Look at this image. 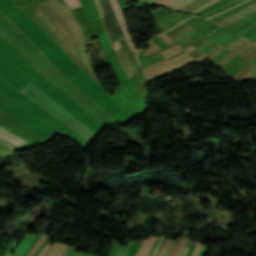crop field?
<instances>
[{"mask_svg": "<svg viewBox=\"0 0 256 256\" xmlns=\"http://www.w3.org/2000/svg\"><path fill=\"white\" fill-rule=\"evenodd\" d=\"M255 10H256V3H254L251 6H249L246 9L236 13L235 15H233V16H231V17H229V18H227V19L217 23L216 25H218V26L223 28V27L229 25L230 23L234 22L235 20H237V19H239V18H241V17H243V16H245V15H247V14H249V13L255 11Z\"/></svg>", "mask_w": 256, "mask_h": 256, "instance_id": "1", "label": "crop field"}, {"mask_svg": "<svg viewBox=\"0 0 256 256\" xmlns=\"http://www.w3.org/2000/svg\"><path fill=\"white\" fill-rule=\"evenodd\" d=\"M115 13H116V15H117V17H118V19L120 21L122 30H123V32H124L128 42H129L131 48H132V50L137 52V49H136V47L134 45L133 39H132V37L130 35V32H129L128 28H127L126 22H125L124 17H123V14L121 12V9L115 10Z\"/></svg>", "mask_w": 256, "mask_h": 256, "instance_id": "2", "label": "crop field"}, {"mask_svg": "<svg viewBox=\"0 0 256 256\" xmlns=\"http://www.w3.org/2000/svg\"><path fill=\"white\" fill-rule=\"evenodd\" d=\"M0 137L15 144L18 147L27 142L2 128H0Z\"/></svg>", "mask_w": 256, "mask_h": 256, "instance_id": "3", "label": "crop field"}, {"mask_svg": "<svg viewBox=\"0 0 256 256\" xmlns=\"http://www.w3.org/2000/svg\"><path fill=\"white\" fill-rule=\"evenodd\" d=\"M35 237L36 235L27 233L25 238L19 243L17 248L14 250L16 253L15 256H21L25 248L31 244V242L35 239Z\"/></svg>", "mask_w": 256, "mask_h": 256, "instance_id": "4", "label": "crop field"}, {"mask_svg": "<svg viewBox=\"0 0 256 256\" xmlns=\"http://www.w3.org/2000/svg\"><path fill=\"white\" fill-rule=\"evenodd\" d=\"M157 239V237H149L145 239L141 249L139 250L137 256H146L150 247L154 243V241Z\"/></svg>", "mask_w": 256, "mask_h": 256, "instance_id": "5", "label": "crop field"}, {"mask_svg": "<svg viewBox=\"0 0 256 256\" xmlns=\"http://www.w3.org/2000/svg\"><path fill=\"white\" fill-rule=\"evenodd\" d=\"M210 0H194L193 2L187 4L186 6H184L183 8H181L179 11H186V12H191L195 9H197L198 7H200L201 5L207 3Z\"/></svg>", "mask_w": 256, "mask_h": 256, "instance_id": "6", "label": "crop field"}, {"mask_svg": "<svg viewBox=\"0 0 256 256\" xmlns=\"http://www.w3.org/2000/svg\"><path fill=\"white\" fill-rule=\"evenodd\" d=\"M167 61L168 60H166V61H164V62H162V63H160L158 65H155V66L145 70L146 75L172 65L170 62H167Z\"/></svg>", "mask_w": 256, "mask_h": 256, "instance_id": "7", "label": "crop field"}, {"mask_svg": "<svg viewBox=\"0 0 256 256\" xmlns=\"http://www.w3.org/2000/svg\"><path fill=\"white\" fill-rule=\"evenodd\" d=\"M191 1L192 0H176L174 3L170 4L168 7L172 8L174 10H178Z\"/></svg>", "mask_w": 256, "mask_h": 256, "instance_id": "8", "label": "crop field"}, {"mask_svg": "<svg viewBox=\"0 0 256 256\" xmlns=\"http://www.w3.org/2000/svg\"><path fill=\"white\" fill-rule=\"evenodd\" d=\"M46 236L47 235H45V234L42 236V238L38 241V243L33 247V249L29 252V254L27 256H33L34 255V253L37 251V249L39 248L41 243L44 241Z\"/></svg>", "mask_w": 256, "mask_h": 256, "instance_id": "9", "label": "crop field"}, {"mask_svg": "<svg viewBox=\"0 0 256 256\" xmlns=\"http://www.w3.org/2000/svg\"><path fill=\"white\" fill-rule=\"evenodd\" d=\"M182 240H183V238L181 237V238L179 239V241L175 244V246L172 248V250H171L169 256H173V255H174V253L176 252L178 246L181 244Z\"/></svg>", "mask_w": 256, "mask_h": 256, "instance_id": "10", "label": "crop field"}, {"mask_svg": "<svg viewBox=\"0 0 256 256\" xmlns=\"http://www.w3.org/2000/svg\"><path fill=\"white\" fill-rule=\"evenodd\" d=\"M218 1H219V0H213V1H211V2H209V3H207V4H205V5L201 6L200 8H198L197 10H195L193 13H197V12L201 11L202 9H204V8L210 6V5H212V4H214V3L218 2Z\"/></svg>", "mask_w": 256, "mask_h": 256, "instance_id": "11", "label": "crop field"}, {"mask_svg": "<svg viewBox=\"0 0 256 256\" xmlns=\"http://www.w3.org/2000/svg\"><path fill=\"white\" fill-rule=\"evenodd\" d=\"M186 242H187V240L184 239V241L182 242V244L180 245L179 249L177 250V252L175 253L174 256H180L181 255L183 247L185 246Z\"/></svg>", "mask_w": 256, "mask_h": 256, "instance_id": "12", "label": "crop field"}, {"mask_svg": "<svg viewBox=\"0 0 256 256\" xmlns=\"http://www.w3.org/2000/svg\"><path fill=\"white\" fill-rule=\"evenodd\" d=\"M235 1H237V0H232V1L228 2V3H226V4H223V5H221V6L217 7V8H214V9L210 10L209 12L203 14L202 16H204V15H206V14H208V13H211V12H213V11H215V10H218V9L224 7V6H227V5H229V4H231V3L235 2Z\"/></svg>", "mask_w": 256, "mask_h": 256, "instance_id": "13", "label": "crop field"}, {"mask_svg": "<svg viewBox=\"0 0 256 256\" xmlns=\"http://www.w3.org/2000/svg\"><path fill=\"white\" fill-rule=\"evenodd\" d=\"M254 58H256V50L253 51L251 54H249L247 57H245L244 59H246L247 61H252Z\"/></svg>", "mask_w": 256, "mask_h": 256, "instance_id": "14", "label": "crop field"}, {"mask_svg": "<svg viewBox=\"0 0 256 256\" xmlns=\"http://www.w3.org/2000/svg\"><path fill=\"white\" fill-rule=\"evenodd\" d=\"M196 243L197 242H195V241L192 242V245H191V247H190V249H189V251H188L186 256H192V253H193V250L195 248Z\"/></svg>", "mask_w": 256, "mask_h": 256, "instance_id": "15", "label": "crop field"}, {"mask_svg": "<svg viewBox=\"0 0 256 256\" xmlns=\"http://www.w3.org/2000/svg\"><path fill=\"white\" fill-rule=\"evenodd\" d=\"M179 238L176 237V239L171 243V245L169 246V248L167 249V251L165 252V254L163 256H168L172 246L175 244V242L178 240Z\"/></svg>", "mask_w": 256, "mask_h": 256, "instance_id": "16", "label": "crop field"}, {"mask_svg": "<svg viewBox=\"0 0 256 256\" xmlns=\"http://www.w3.org/2000/svg\"><path fill=\"white\" fill-rule=\"evenodd\" d=\"M172 241H173V240H172ZM170 242H171V240H168V241H167L166 245H165L164 248L161 250V252L159 253L158 256H162V254L164 253L165 249L169 246Z\"/></svg>", "mask_w": 256, "mask_h": 256, "instance_id": "17", "label": "crop field"}, {"mask_svg": "<svg viewBox=\"0 0 256 256\" xmlns=\"http://www.w3.org/2000/svg\"><path fill=\"white\" fill-rule=\"evenodd\" d=\"M14 241H10L7 246L5 247L4 251L2 252V254L0 256H4V254L6 253V251L8 250V248L12 245Z\"/></svg>", "mask_w": 256, "mask_h": 256, "instance_id": "18", "label": "crop field"}, {"mask_svg": "<svg viewBox=\"0 0 256 256\" xmlns=\"http://www.w3.org/2000/svg\"><path fill=\"white\" fill-rule=\"evenodd\" d=\"M50 245H51V242H49V243L45 246V248L43 249V251L41 252V254H40L39 256H43V255L45 254V252L48 250V248L50 247Z\"/></svg>", "mask_w": 256, "mask_h": 256, "instance_id": "19", "label": "crop field"}, {"mask_svg": "<svg viewBox=\"0 0 256 256\" xmlns=\"http://www.w3.org/2000/svg\"><path fill=\"white\" fill-rule=\"evenodd\" d=\"M200 246H201V243L198 242L197 245H196V248H195V250H194L193 256H196V254H197V252H198Z\"/></svg>", "mask_w": 256, "mask_h": 256, "instance_id": "20", "label": "crop field"}, {"mask_svg": "<svg viewBox=\"0 0 256 256\" xmlns=\"http://www.w3.org/2000/svg\"><path fill=\"white\" fill-rule=\"evenodd\" d=\"M21 239V238H20ZM20 239H18L14 245L11 247V249L9 250V252L6 254V256H9V253L14 249L15 245L20 241ZM11 254V253H10Z\"/></svg>", "mask_w": 256, "mask_h": 256, "instance_id": "21", "label": "crop field"}, {"mask_svg": "<svg viewBox=\"0 0 256 256\" xmlns=\"http://www.w3.org/2000/svg\"><path fill=\"white\" fill-rule=\"evenodd\" d=\"M62 246V244H58V246L55 248V250L52 252V254L50 256H54L55 253L58 251V249Z\"/></svg>", "mask_w": 256, "mask_h": 256, "instance_id": "22", "label": "crop field"}, {"mask_svg": "<svg viewBox=\"0 0 256 256\" xmlns=\"http://www.w3.org/2000/svg\"><path fill=\"white\" fill-rule=\"evenodd\" d=\"M8 241H9V239L7 238V239L5 240V242L2 244V246L0 247V253H1V251L4 249V247L6 246V244L8 243Z\"/></svg>", "mask_w": 256, "mask_h": 256, "instance_id": "23", "label": "crop field"}, {"mask_svg": "<svg viewBox=\"0 0 256 256\" xmlns=\"http://www.w3.org/2000/svg\"><path fill=\"white\" fill-rule=\"evenodd\" d=\"M121 248H122V247L120 246V244H118V247H117L115 256H119V253H120Z\"/></svg>", "mask_w": 256, "mask_h": 256, "instance_id": "24", "label": "crop field"}, {"mask_svg": "<svg viewBox=\"0 0 256 256\" xmlns=\"http://www.w3.org/2000/svg\"><path fill=\"white\" fill-rule=\"evenodd\" d=\"M204 249H205V246L202 245L197 256H202Z\"/></svg>", "mask_w": 256, "mask_h": 256, "instance_id": "25", "label": "crop field"}, {"mask_svg": "<svg viewBox=\"0 0 256 256\" xmlns=\"http://www.w3.org/2000/svg\"><path fill=\"white\" fill-rule=\"evenodd\" d=\"M70 247H67V249L64 251V253L61 256H66V254L69 252Z\"/></svg>", "mask_w": 256, "mask_h": 256, "instance_id": "26", "label": "crop field"}, {"mask_svg": "<svg viewBox=\"0 0 256 256\" xmlns=\"http://www.w3.org/2000/svg\"><path fill=\"white\" fill-rule=\"evenodd\" d=\"M174 0H167L165 3H163L162 5H165V6H167V5H169L171 2H173Z\"/></svg>", "mask_w": 256, "mask_h": 256, "instance_id": "27", "label": "crop field"}, {"mask_svg": "<svg viewBox=\"0 0 256 256\" xmlns=\"http://www.w3.org/2000/svg\"><path fill=\"white\" fill-rule=\"evenodd\" d=\"M187 251H188V249L184 248L183 253H182V255H181V256H185V255H186V253H187Z\"/></svg>", "mask_w": 256, "mask_h": 256, "instance_id": "28", "label": "crop field"}, {"mask_svg": "<svg viewBox=\"0 0 256 256\" xmlns=\"http://www.w3.org/2000/svg\"><path fill=\"white\" fill-rule=\"evenodd\" d=\"M164 1H166V0H159V1H157L156 3H154V4L160 5V4H162Z\"/></svg>", "mask_w": 256, "mask_h": 256, "instance_id": "29", "label": "crop field"}, {"mask_svg": "<svg viewBox=\"0 0 256 256\" xmlns=\"http://www.w3.org/2000/svg\"><path fill=\"white\" fill-rule=\"evenodd\" d=\"M63 247H64V244H63V246L59 249V251L56 253L55 256H57V255L59 254V252L62 250Z\"/></svg>", "mask_w": 256, "mask_h": 256, "instance_id": "30", "label": "crop field"}, {"mask_svg": "<svg viewBox=\"0 0 256 256\" xmlns=\"http://www.w3.org/2000/svg\"><path fill=\"white\" fill-rule=\"evenodd\" d=\"M156 0H149L147 3H150V4H152V3H154Z\"/></svg>", "mask_w": 256, "mask_h": 256, "instance_id": "31", "label": "crop field"}, {"mask_svg": "<svg viewBox=\"0 0 256 256\" xmlns=\"http://www.w3.org/2000/svg\"><path fill=\"white\" fill-rule=\"evenodd\" d=\"M65 248H66V245H65V247L63 248V250L60 252V254H59L58 256H60V255L63 253V251L65 250Z\"/></svg>", "mask_w": 256, "mask_h": 256, "instance_id": "32", "label": "crop field"}, {"mask_svg": "<svg viewBox=\"0 0 256 256\" xmlns=\"http://www.w3.org/2000/svg\"><path fill=\"white\" fill-rule=\"evenodd\" d=\"M57 244H55V246L53 247V249L56 247ZM53 249L49 252V254L47 256L50 255V253L53 251Z\"/></svg>", "mask_w": 256, "mask_h": 256, "instance_id": "33", "label": "crop field"}, {"mask_svg": "<svg viewBox=\"0 0 256 256\" xmlns=\"http://www.w3.org/2000/svg\"><path fill=\"white\" fill-rule=\"evenodd\" d=\"M83 254L82 253H79L78 256H82Z\"/></svg>", "mask_w": 256, "mask_h": 256, "instance_id": "34", "label": "crop field"}, {"mask_svg": "<svg viewBox=\"0 0 256 256\" xmlns=\"http://www.w3.org/2000/svg\"><path fill=\"white\" fill-rule=\"evenodd\" d=\"M94 254L93 253H91L89 256H93Z\"/></svg>", "mask_w": 256, "mask_h": 256, "instance_id": "35", "label": "crop field"}, {"mask_svg": "<svg viewBox=\"0 0 256 256\" xmlns=\"http://www.w3.org/2000/svg\"><path fill=\"white\" fill-rule=\"evenodd\" d=\"M143 1H145V2H146V1H148V0H143Z\"/></svg>", "mask_w": 256, "mask_h": 256, "instance_id": "36", "label": "crop field"}, {"mask_svg": "<svg viewBox=\"0 0 256 256\" xmlns=\"http://www.w3.org/2000/svg\"><path fill=\"white\" fill-rule=\"evenodd\" d=\"M256 45V43H254Z\"/></svg>", "mask_w": 256, "mask_h": 256, "instance_id": "37", "label": "crop field"}]
</instances>
